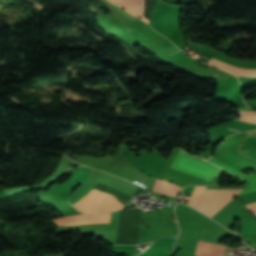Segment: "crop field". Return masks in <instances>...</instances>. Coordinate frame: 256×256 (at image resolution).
Listing matches in <instances>:
<instances>
[{
    "instance_id": "obj_1",
    "label": "crop field",
    "mask_w": 256,
    "mask_h": 256,
    "mask_svg": "<svg viewBox=\"0 0 256 256\" xmlns=\"http://www.w3.org/2000/svg\"><path fill=\"white\" fill-rule=\"evenodd\" d=\"M88 180L111 187L113 189L119 190L132 196H134L138 188V186L131 182L124 181L120 178L108 175L96 169L93 170ZM99 184L96 185L95 189L113 194L121 203H128L133 198L132 196H129L127 194L121 193L119 191L113 190L111 188Z\"/></svg>"
},
{
    "instance_id": "obj_2",
    "label": "crop field",
    "mask_w": 256,
    "mask_h": 256,
    "mask_svg": "<svg viewBox=\"0 0 256 256\" xmlns=\"http://www.w3.org/2000/svg\"><path fill=\"white\" fill-rule=\"evenodd\" d=\"M170 168L190 173L211 180L213 175L218 176L223 170L195 157L187 155L180 149Z\"/></svg>"
},
{
    "instance_id": "obj_3",
    "label": "crop field",
    "mask_w": 256,
    "mask_h": 256,
    "mask_svg": "<svg viewBox=\"0 0 256 256\" xmlns=\"http://www.w3.org/2000/svg\"><path fill=\"white\" fill-rule=\"evenodd\" d=\"M73 206L83 213L106 212L123 207L113 195L95 189Z\"/></svg>"
},
{
    "instance_id": "obj_4",
    "label": "crop field",
    "mask_w": 256,
    "mask_h": 256,
    "mask_svg": "<svg viewBox=\"0 0 256 256\" xmlns=\"http://www.w3.org/2000/svg\"><path fill=\"white\" fill-rule=\"evenodd\" d=\"M241 190L206 189L196 209L212 217Z\"/></svg>"
},
{
    "instance_id": "obj_5",
    "label": "crop field",
    "mask_w": 256,
    "mask_h": 256,
    "mask_svg": "<svg viewBox=\"0 0 256 256\" xmlns=\"http://www.w3.org/2000/svg\"><path fill=\"white\" fill-rule=\"evenodd\" d=\"M141 212L121 211L116 244H137Z\"/></svg>"
},
{
    "instance_id": "obj_6",
    "label": "crop field",
    "mask_w": 256,
    "mask_h": 256,
    "mask_svg": "<svg viewBox=\"0 0 256 256\" xmlns=\"http://www.w3.org/2000/svg\"><path fill=\"white\" fill-rule=\"evenodd\" d=\"M208 160L213 162V163H215V164H217V165H219V166H221V167H223V168H225V169H227V170H229L230 172H232V173H234V174H236V175H238L240 177L245 178L246 176H248L246 174H243V173L237 171L236 169H234V168H232L230 166H227V165L221 163L220 161H218V160H216L214 158H211V159H208ZM245 180H247V181H249L251 183L248 185V187L244 191H242L237 196L243 195V194H246V193H250V192H253V191H256V175H255V173L250 174L247 178H245ZM246 207L250 211H252V213L256 216V202L255 203H251V204H247Z\"/></svg>"
},
{
    "instance_id": "obj_7",
    "label": "crop field",
    "mask_w": 256,
    "mask_h": 256,
    "mask_svg": "<svg viewBox=\"0 0 256 256\" xmlns=\"http://www.w3.org/2000/svg\"><path fill=\"white\" fill-rule=\"evenodd\" d=\"M229 249L220 244L198 242L192 251L196 256H227Z\"/></svg>"
},
{
    "instance_id": "obj_8",
    "label": "crop field",
    "mask_w": 256,
    "mask_h": 256,
    "mask_svg": "<svg viewBox=\"0 0 256 256\" xmlns=\"http://www.w3.org/2000/svg\"><path fill=\"white\" fill-rule=\"evenodd\" d=\"M207 63L220 67L228 72L233 73L237 76H246V77H256V70H250V69H243V68H237L233 67L231 65H228L226 63L220 62L218 60H215L211 58Z\"/></svg>"
},
{
    "instance_id": "obj_9",
    "label": "crop field",
    "mask_w": 256,
    "mask_h": 256,
    "mask_svg": "<svg viewBox=\"0 0 256 256\" xmlns=\"http://www.w3.org/2000/svg\"><path fill=\"white\" fill-rule=\"evenodd\" d=\"M179 189L178 186L157 180L153 191L176 197Z\"/></svg>"
},
{
    "instance_id": "obj_10",
    "label": "crop field",
    "mask_w": 256,
    "mask_h": 256,
    "mask_svg": "<svg viewBox=\"0 0 256 256\" xmlns=\"http://www.w3.org/2000/svg\"><path fill=\"white\" fill-rule=\"evenodd\" d=\"M205 187H195L189 201H188V204L193 206V207H196L203 191H204Z\"/></svg>"
},
{
    "instance_id": "obj_11",
    "label": "crop field",
    "mask_w": 256,
    "mask_h": 256,
    "mask_svg": "<svg viewBox=\"0 0 256 256\" xmlns=\"http://www.w3.org/2000/svg\"><path fill=\"white\" fill-rule=\"evenodd\" d=\"M239 131V130H238Z\"/></svg>"
}]
</instances>
